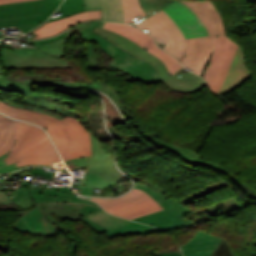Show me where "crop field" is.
I'll return each mask as SVG.
<instances>
[{
    "instance_id": "obj_1",
    "label": "crop field",
    "mask_w": 256,
    "mask_h": 256,
    "mask_svg": "<svg viewBox=\"0 0 256 256\" xmlns=\"http://www.w3.org/2000/svg\"><path fill=\"white\" fill-rule=\"evenodd\" d=\"M0 111L17 119L39 124L46 128L64 161L91 155L89 132L72 117L58 120L42 113L22 110L0 101Z\"/></svg>"
},
{
    "instance_id": "obj_2",
    "label": "crop field",
    "mask_w": 256,
    "mask_h": 256,
    "mask_svg": "<svg viewBox=\"0 0 256 256\" xmlns=\"http://www.w3.org/2000/svg\"><path fill=\"white\" fill-rule=\"evenodd\" d=\"M26 166L64 168L46 133L24 123L15 145L0 157V173Z\"/></svg>"
},
{
    "instance_id": "obj_3",
    "label": "crop field",
    "mask_w": 256,
    "mask_h": 256,
    "mask_svg": "<svg viewBox=\"0 0 256 256\" xmlns=\"http://www.w3.org/2000/svg\"><path fill=\"white\" fill-rule=\"evenodd\" d=\"M249 76L243 49L227 36H218L214 55L204 74L211 91L222 96L237 88Z\"/></svg>"
},
{
    "instance_id": "obj_4",
    "label": "crop field",
    "mask_w": 256,
    "mask_h": 256,
    "mask_svg": "<svg viewBox=\"0 0 256 256\" xmlns=\"http://www.w3.org/2000/svg\"><path fill=\"white\" fill-rule=\"evenodd\" d=\"M68 40L60 39L53 43L37 45L40 49L15 47V51L4 49L0 52L3 69H57L72 68L65 56Z\"/></svg>"
},
{
    "instance_id": "obj_5",
    "label": "crop field",
    "mask_w": 256,
    "mask_h": 256,
    "mask_svg": "<svg viewBox=\"0 0 256 256\" xmlns=\"http://www.w3.org/2000/svg\"><path fill=\"white\" fill-rule=\"evenodd\" d=\"M92 155L66 161L70 170L86 169L82 185L90 188H108L118 182H126L113 163V158L105 154L100 141L96 136L90 134ZM76 185V184H74Z\"/></svg>"
},
{
    "instance_id": "obj_6",
    "label": "crop field",
    "mask_w": 256,
    "mask_h": 256,
    "mask_svg": "<svg viewBox=\"0 0 256 256\" xmlns=\"http://www.w3.org/2000/svg\"><path fill=\"white\" fill-rule=\"evenodd\" d=\"M145 183L146 185L136 184L134 188H139L146 191L151 197L161 204L164 210L132 220L149 224L164 229L165 231L190 226L193 224L192 222L180 218L191 211L180 205L175 200L169 199L171 194L165 190L154 186L147 180H145Z\"/></svg>"
},
{
    "instance_id": "obj_7",
    "label": "crop field",
    "mask_w": 256,
    "mask_h": 256,
    "mask_svg": "<svg viewBox=\"0 0 256 256\" xmlns=\"http://www.w3.org/2000/svg\"><path fill=\"white\" fill-rule=\"evenodd\" d=\"M61 1L34 0L0 6V28L44 22Z\"/></svg>"
},
{
    "instance_id": "obj_8",
    "label": "crop field",
    "mask_w": 256,
    "mask_h": 256,
    "mask_svg": "<svg viewBox=\"0 0 256 256\" xmlns=\"http://www.w3.org/2000/svg\"><path fill=\"white\" fill-rule=\"evenodd\" d=\"M137 27L151 34L158 43H166L163 50L180 59L186 45L181 29L164 11H159L139 24Z\"/></svg>"
},
{
    "instance_id": "obj_9",
    "label": "crop field",
    "mask_w": 256,
    "mask_h": 256,
    "mask_svg": "<svg viewBox=\"0 0 256 256\" xmlns=\"http://www.w3.org/2000/svg\"><path fill=\"white\" fill-rule=\"evenodd\" d=\"M91 200L100 203L106 211L129 219L162 209L160 204L139 189H133L116 199L91 198Z\"/></svg>"
},
{
    "instance_id": "obj_10",
    "label": "crop field",
    "mask_w": 256,
    "mask_h": 256,
    "mask_svg": "<svg viewBox=\"0 0 256 256\" xmlns=\"http://www.w3.org/2000/svg\"><path fill=\"white\" fill-rule=\"evenodd\" d=\"M0 89L8 92H17L26 98L23 101L18 98H12L16 101L25 102L32 105H38L42 108L55 111L65 116H73L75 118L78 117L75 115L76 114L75 112L70 110L75 105V103L67 101L61 97H57L49 94L33 93L34 84L17 83L9 80L0 79ZM52 99L56 101L68 103L70 104V106L64 107L62 105H57L51 101Z\"/></svg>"
},
{
    "instance_id": "obj_11",
    "label": "crop field",
    "mask_w": 256,
    "mask_h": 256,
    "mask_svg": "<svg viewBox=\"0 0 256 256\" xmlns=\"http://www.w3.org/2000/svg\"><path fill=\"white\" fill-rule=\"evenodd\" d=\"M103 28L110 29L112 31H115V32L123 35L124 37L135 42L142 48L147 46L149 49V53H151L152 55L161 59L164 62V64L167 66L169 72L172 73L173 75L178 70L183 68L176 61V59L174 57H172L171 55L160 50L157 47L156 42L153 38H151L147 34L143 33L142 31H140L130 25L116 24V23H109V22H106Z\"/></svg>"
},
{
    "instance_id": "obj_12",
    "label": "crop field",
    "mask_w": 256,
    "mask_h": 256,
    "mask_svg": "<svg viewBox=\"0 0 256 256\" xmlns=\"http://www.w3.org/2000/svg\"><path fill=\"white\" fill-rule=\"evenodd\" d=\"M217 36L188 38L186 49L179 62L200 75L216 45Z\"/></svg>"
},
{
    "instance_id": "obj_13",
    "label": "crop field",
    "mask_w": 256,
    "mask_h": 256,
    "mask_svg": "<svg viewBox=\"0 0 256 256\" xmlns=\"http://www.w3.org/2000/svg\"><path fill=\"white\" fill-rule=\"evenodd\" d=\"M109 66L121 70L134 79L146 84L162 82L155 68L150 63L132 56L125 51L116 57Z\"/></svg>"
},
{
    "instance_id": "obj_14",
    "label": "crop field",
    "mask_w": 256,
    "mask_h": 256,
    "mask_svg": "<svg viewBox=\"0 0 256 256\" xmlns=\"http://www.w3.org/2000/svg\"><path fill=\"white\" fill-rule=\"evenodd\" d=\"M162 10L176 21L186 38L208 35L200 19L186 5L174 1Z\"/></svg>"
},
{
    "instance_id": "obj_15",
    "label": "crop field",
    "mask_w": 256,
    "mask_h": 256,
    "mask_svg": "<svg viewBox=\"0 0 256 256\" xmlns=\"http://www.w3.org/2000/svg\"><path fill=\"white\" fill-rule=\"evenodd\" d=\"M180 2L185 3L202 20L209 35H226L223 17L212 1Z\"/></svg>"
},
{
    "instance_id": "obj_16",
    "label": "crop field",
    "mask_w": 256,
    "mask_h": 256,
    "mask_svg": "<svg viewBox=\"0 0 256 256\" xmlns=\"http://www.w3.org/2000/svg\"><path fill=\"white\" fill-rule=\"evenodd\" d=\"M101 19V10L98 11H90V12H83L76 15H72L63 19L51 21L42 24L41 26L34 29L32 32L36 33L37 35L32 39H44L56 36L68 28L80 24L82 22ZM27 39V38H24Z\"/></svg>"
},
{
    "instance_id": "obj_17",
    "label": "crop field",
    "mask_w": 256,
    "mask_h": 256,
    "mask_svg": "<svg viewBox=\"0 0 256 256\" xmlns=\"http://www.w3.org/2000/svg\"><path fill=\"white\" fill-rule=\"evenodd\" d=\"M93 32L103 35L105 38L112 41L113 43H115L116 45H118L119 47L124 49L125 51H127L143 60L150 62L156 68V70H157L158 74L160 75L163 82L169 78L168 74H170V73L167 71L163 62L161 60H159L158 58L152 56L151 54H149L142 48H140L135 43L131 42L130 40L124 38L123 36H121L115 32H112L110 30H105V29L96 27L93 30Z\"/></svg>"
},
{
    "instance_id": "obj_18",
    "label": "crop field",
    "mask_w": 256,
    "mask_h": 256,
    "mask_svg": "<svg viewBox=\"0 0 256 256\" xmlns=\"http://www.w3.org/2000/svg\"><path fill=\"white\" fill-rule=\"evenodd\" d=\"M92 87L108 95L110 99L118 106L124 118L126 120L128 119L146 140L153 143L154 146L157 147L158 149L163 148V146H161L154 140L158 136V134L153 133L154 131L153 132L149 131L148 129H146L145 127L139 124V122L133 116L131 110L128 108V106L119 96L117 89L100 80H95Z\"/></svg>"
},
{
    "instance_id": "obj_19",
    "label": "crop field",
    "mask_w": 256,
    "mask_h": 256,
    "mask_svg": "<svg viewBox=\"0 0 256 256\" xmlns=\"http://www.w3.org/2000/svg\"><path fill=\"white\" fill-rule=\"evenodd\" d=\"M221 238L210 236L201 231L187 244L181 246L184 256H209Z\"/></svg>"
},
{
    "instance_id": "obj_20",
    "label": "crop field",
    "mask_w": 256,
    "mask_h": 256,
    "mask_svg": "<svg viewBox=\"0 0 256 256\" xmlns=\"http://www.w3.org/2000/svg\"><path fill=\"white\" fill-rule=\"evenodd\" d=\"M31 196L35 204L39 202H56V201H65V202H79V203H90L99 207L98 205L91 203L89 201H84L78 199L75 195L71 194L69 188H56L52 189L45 188L44 190L40 189H29Z\"/></svg>"
},
{
    "instance_id": "obj_21",
    "label": "crop field",
    "mask_w": 256,
    "mask_h": 256,
    "mask_svg": "<svg viewBox=\"0 0 256 256\" xmlns=\"http://www.w3.org/2000/svg\"><path fill=\"white\" fill-rule=\"evenodd\" d=\"M158 143L163 145L165 148L169 149L171 152L182 158L183 160L193 164L194 166L204 164L212 169H215L217 171L223 172L227 174L231 179L236 180L238 177L233 176L228 173L229 170L215 164V163H209L203 159H201L202 155L200 152H194L190 149L182 148L175 146L173 144L167 143L165 141H162L160 139L156 140Z\"/></svg>"
},
{
    "instance_id": "obj_22",
    "label": "crop field",
    "mask_w": 256,
    "mask_h": 256,
    "mask_svg": "<svg viewBox=\"0 0 256 256\" xmlns=\"http://www.w3.org/2000/svg\"><path fill=\"white\" fill-rule=\"evenodd\" d=\"M64 205V208H70L69 211L63 209H44L43 207H51L56 204H37L36 207L40 209L44 214H54L65 220L66 218L77 219L84 218L92 212L98 210L99 208L83 205V204H65V203H57V205Z\"/></svg>"
},
{
    "instance_id": "obj_23",
    "label": "crop field",
    "mask_w": 256,
    "mask_h": 256,
    "mask_svg": "<svg viewBox=\"0 0 256 256\" xmlns=\"http://www.w3.org/2000/svg\"><path fill=\"white\" fill-rule=\"evenodd\" d=\"M82 220H84L86 223H88L90 226H92L94 229H96L99 232L106 231L109 238H114L119 235L124 236V235H128V234L146 235V234H151V233H156V232H163L154 227L136 223V222H133V223L123 226L121 228L110 231L87 217Z\"/></svg>"
},
{
    "instance_id": "obj_24",
    "label": "crop field",
    "mask_w": 256,
    "mask_h": 256,
    "mask_svg": "<svg viewBox=\"0 0 256 256\" xmlns=\"http://www.w3.org/2000/svg\"><path fill=\"white\" fill-rule=\"evenodd\" d=\"M22 124L0 114V156L14 145Z\"/></svg>"
},
{
    "instance_id": "obj_25",
    "label": "crop field",
    "mask_w": 256,
    "mask_h": 256,
    "mask_svg": "<svg viewBox=\"0 0 256 256\" xmlns=\"http://www.w3.org/2000/svg\"><path fill=\"white\" fill-rule=\"evenodd\" d=\"M167 87L184 93H193L204 87V83L198 76L189 72L184 75L171 77L164 82Z\"/></svg>"
},
{
    "instance_id": "obj_26",
    "label": "crop field",
    "mask_w": 256,
    "mask_h": 256,
    "mask_svg": "<svg viewBox=\"0 0 256 256\" xmlns=\"http://www.w3.org/2000/svg\"><path fill=\"white\" fill-rule=\"evenodd\" d=\"M87 217L93 219L94 221L98 222L99 224L105 226L110 230L133 222V221L122 219L112 214H109L105 212L102 208Z\"/></svg>"
},
{
    "instance_id": "obj_27",
    "label": "crop field",
    "mask_w": 256,
    "mask_h": 256,
    "mask_svg": "<svg viewBox=\"0 0 256 256\" xmlns=\"http://www.w3.org/2000/svg\"><path fill=\"white\" fill-rule=\"evenodd\" d=\"M102 19L123 23L121 0H101Z\"/></svg>"
},
{
    "instance_id": "obj_28",
    "label": "crop field",
    "mask_w": 256,
    "mask_h": 256,
    "mask_svg": "<svg viewBox=\"0 0 256 256\" xmlns=\"http://www.w3.org/2000/svg\"><path fill=\"white\" fill-rule=\"evenodd\" d=\"M43 213L36 207L31 210L26 216H23L19 221L12 227L19 232L28 231L31 234H37L33 228L38 221L43 217Z\"/></svg>"
},
{
    "instance_id": "obj_29",
    "label": "crop field",
    "mask_w": 256,
    "mask_h": 256,
    "mask_svg": "<svg viewBox=\"0 0 256 256\" xmlns=\"http://www.w3.org/2000/svg\"><path fill=\"white\" fill-rule=\"evenodd\" d=\"M124 23L131 24L147 15L138 0H122Z\"/></svg>"
},
{
    "instance_id": "obj_30",
    "label": "crop field",
    "mask_w": 256,
    "mask_h": 256,
    "mask_svg": "<svg viewBox=\"0 0 256 256\" xmlns=\"http://www.w3.org/2000/svg\"><path fill=\"white\" fill-rule=\"evenodd\" d=\"M100 21H92V22H88V23H84V24H81L79 26H76L66 32H64L63 34L55 37V38H50V39H45V40H35V41H32L34 42L35 44H44V43H48V42H53L61 37H64L66 39L69 38V36L71 34H73L74 32L76 31H79L82 35V39L85 40V38L87 37L88 33L90 31H92L99 23Z\"/></svg>"
},
{
    "instance_id": "obj_31",
    "label": "crop field",
    "mask_w": 256,
    "mask_h": 256,
    "mask_svg": "<svg viewBox=\"0 0 256 256\" xmlns=\"http://www.w3.org/2000/svg\"><path fill=\"white\" fill-rule=\"evenodd\" d=\"M86 40L95 41V42L99 43L105 49V51L113 58H115L121 52L124 51L121 48H119L118 46H116L115 44L111 43L110 41H108L107 39L102 37L101 35L95 34L93 32H91L89 34V36L86 38Z\"/></svg>"
},
{
    "instance_id": "obj_32",
    "label": "crop field",
    "mask_w": 256,
    "mask_h": 256,
    "mask_svg": "<svg viewBox=\"0 0 256 256\" xmlns=\"http://www.w3.org/2000/svg\"><path fill=\"white\" fill-rule=\"evenodd\" d=\"M172 1L173 0H140V3L146 13L150 16Z\"/></svg>"
},
{
    "instance_id": "obj_33",
    "label": "crop field",
    "mask_w": 256,
    "mask_h": 256,
    "mask_svg": "<svg viewBox=\"0 0 256 256\" xmlns=\"http://www.w3.org/2000/svg\"><path fill=\"white\" fill-rule=\"evenodd\" d=\"M60 7L67 16L85 11L83 0H65Z\"/></svg>"
},
{
    "instance_id": "obj_34",
    "label": "crop field",
    "mask_w": 256,
    "mask_h": 256,
    "mask_svg": "<svg viewBox=\"0 0 256 256\" xmlns=\"http://www.w3.org/2000/svg\"><path fill=\"white\" fill-rule=\"evenodd\" d=\"M56 226L48 222L44 217L39 221L34 230L42 236H56Z\"/></svg>"
},
{
    "instance_id": "obj_35",
    "label": "crop field",
    "mask_w": 256,
    "mask_h": 256,
    "mask_svg": "<svg viewBox=\"0 0 256 256\" xmlns=\"http://www.w3.org/2000/svg\"><path fill=\"white\" fill-rule=\"evenodd\" d=\"M88 62H89V68H94V69H102L98 56L96 54L95 48L92 44L88 43Z\"/></svg>"
},
{
    "instance_id": "obj_36",
    "label": "crop field",
    "mask_w": 256,
    "mask_h": 256,
    "mask_svg": "<svg viewBox=\"0 0 256 256\" xmlns=\"http://www.w3.org/2000/svg\"><path fill=\"white\" fill-rule=\"evenodd\" d=\"M32 170V174L33 175H37V176H41V177H45V178H49L53 180V176L54 174H56V172H44L42 168H31Z\"/></svg>"
},
{
    "instance_id": "obj_37",
    "label": "crop field",
    "mask_w": 256,
    "mask_h": 256,
    "mask_svg": "<svg viewBox=\"0 0 256 256\" xmlns=\"http://www.w3.org/2000/svg\"><path fill=\"white\" fill-rule=\"evenodd\" d=\"M86 11L101 9L100 0H84Z\"/></svg>"
},
{
    "instance_id": "obj_38",
    "label": "crop field",
    "mask_w": 256,
    "mask_h": 256,
    "mask_svg": "<svg viewBox=\"0 0 256 256\" xmlns=\"http://www.w3.org/2000/svg\"><path fill=\"white\" fill-rule=\"evenodd\" d=\"M3 102H5L6 104H9V105H13V106H16V107H19V108H22V109H28V110H34V111H38V112H42V113H45V114H49V115H52L58 119H63L62 117L58 116V115H55V114H51V113H47V112H43V111H40V110H36V109H32V108H28V107H24V106H20V105H16V104H13L7 100H2Z\"/></svg>"
},
{
    "instance_id": "obj_39",
    "label": "crop field",
    "mask_w": 256,
    "mask_h": 256,
    "mask_svg": "<svg viewBox=\"0 0 256 256\" xmlns=\"http://www.w3.org/2000/svg\"><path fill=\"white\" fill-rule=\"evenodd\" d=\"M236 182H238V184L244 188L246 191L249 192L250 196L252 197H256V190L255 189H252L250 186L242 183L241 181H239L238 179L236 180Z\"/></svg>"
},
{
    "instance_id": "obj_40",
    "label": "crop field",
    "mask_w": 256,
    "mask_h": 256,
    "mask_svg": "<svg viewBox=\"0 0 256 256\" xmlns=\"http://www.w3.org/2000/svg\"><path fill=\"white\" fill-rule=\"evenodd\" d=\"M152 253L156 254L158 256H182L181 251L169 252V253H154V252H152Z\"/></svg>"
},
{
    "instance_id": "obj_41",
    "label": "crop field",
    "mask_w": 256,
    "mask_h": 256,
    "mask_svg": "<svg viewBox=\"0 0 256 256\" xmlns=\"http://www.w3.org/2000/svg\"><path fill=\"white\" fill-rule=\"evenodd\" d=\"M81 87L89 88L90 86L87 85V84H81V83H76V86H68V85H66L67 89H77V90H79Z\"/></svg>"
},
{
    "instance_id": "obj_42",
    "label": "crop field",
    "mask_w": 256,
    "mask_h": 256,
    "mask_svg": "<svg viewBox=\"0 0 256 256\" xmlns=\"http://www.w3.org/2000/svg\"><path fill=\"white\" fill-rule=\"evenodd\" d=\"M72 187L82 188L83 191H82L81 194H84V195H91L92 189L84 188V187H79V186H74V185H72Z\"/></svg>"
},
{
    "instance_id": "obj_43",
    "label": "crop field",
    "mask_w": 256,
    "mask_h": 256,
    "mask_svg": "<svg viewBox=\"0 0 256 256\" xmlns=\"http://www.w3.org/2000/svg\"><path fill=\"white\" fill-rule=\"evenodd\" d=\"M38 24L36 25H30V26H23V27H17V28H20L23 33H27L28 31H30L32 28H34L35 26H37Z\"/></svg>"
},
{
    "instance_id": "obj_44",
    "label": "crop field",
    "mask_w": 256,
    "mask_h": 256,
    "mask_svg": "<svg viewBox=\"0 0 256 256\" xmlns=\"http://www.w3.org/2000/svg\"><path fill=\"white\" fill-rule=\"evenodd\" d=\"M23 1H28V0H0V5L7 4V3H14V2H23Z\"/></svg>"
},
{
    "instance_id": "obj_45",
    "label": "crop field",
    "mask_w": 256,
    "mask_h": 256,
    "mask_svg": "<svg viewBox=\"0 0 256 256\" xmlns=\"http://www.w3.org/2000/svg\"><path fill=\"white\" fill-rule=\"evenodd\" d=\"M0 45H2V41H0ZM2 48H0V50H1ZM2 73H3V69H2V67H1V65H0V78L2 77Z\"/></svg>"
},
{
    "instance_id": "obj_46",
    "label": "crop field",
    "mask_w": 256,
    "mask_h": 256,
    "mask_svg": "<svg viewBox=\"0 0 256 256\" xmlns=\"http://www.w3.org/2000/svg\"><path fill=\"white\" fill-rule=\"evenodd\" d=\"M58 9L63 13V16H61L59 18L66 17L65 13L61 10V8L59 7ZM59 18H57V19H59ZM51 20H55V19H51ZM51 20H49V21H51Z\"/></svg>"
},
{
    "instance_id": "obj_47",
    "label": "crop field",
    "mask_w": 256,
    "mask_h": 256,
    "mask_svg": "<svg viewBox=\"0 0 256 256\" xmlns=\"http://www.w3.org/2000/svg\"><path fill=\"white\" fill-rule=\"evenodd\" d=\"M103 24H104V22L101 21L100 24L98 25V27H101V28H102Z\"/></svg>"
},
{
    "instance_id": "obj_48",
    "label": "crop field",
    "mask_w": 256,
    "mask_h": 256,
    "mask_svg": "<svg viewBox=\"0 0 256 256\" xmlns=\"http://www.w3.org/2000/svg\"><path fill=\"white\" fill-rule=\"evenodd\" d=\"M5 194H6V193H5ZM5 194H4V193H2V192H0V197L5 196Z\"/></svg>"
},
{
    "instance_id": "obj_49",
    "label": "crop field",
    "mask_w": 256,
    "mask_h": 256,
    "mask_svg": "<svg viewBox=\"0 0 256 256\" xmlns=\"http://www.w3.org/2000/svg\"><path fill=\"white\" fill-rule=\"evenodd\" d=\"M1 34V33H0Z\"/></svg>"
}]
</instances>
